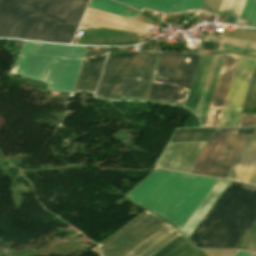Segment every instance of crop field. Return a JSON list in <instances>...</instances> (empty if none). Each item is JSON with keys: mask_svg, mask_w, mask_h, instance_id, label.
Returning a JSON list of instances; mask_svg holds the SVG:
<instances>
[{"mask_svg": "<svg viewBox=\"0 0 256 256\" xmlns=\"http://www.w3.org/2000/svg\"><path fill=\"white\" fill-rule=\"evenodd\" d=\"M249 184H253L256 185V170L254 171L253 175L251 176V178L248 181Z\"/></svg>", "mask_w": 256, "mask_h": 256, "instance_id": "eef30255", "label": "crop field"}, {"mask_svg": "<svg viewBox=\"0 0 256 256\" xmlns=\"http://www.w3.org/2000/svg\"><path fill=\"white\" fill-rule=\"evenodd\" d=\"M256 125V114H241L237 127Z\"/></svg>", "mask_w": 256, "mask_h": 256, "instance_id": "4177f3b9", "label": "crop field"}, {"mask_svg": "<svg viewBox=\"0 0 256 256\" xmlns=\"http://www.w3.org/2000/svg\"><path fill=\"white\" fill-rule=\"evenodd\" d=\"M166 224L168 223L145 210L99 246L104 256H124Z\"/></svg>", "mask_w": 256, "mask_h": 256, "instance_id": "e52e79f7", "label": "crop field"}, {"mask_svg": "<svg viewBox=\"0 0 256 256\" xmlns=\"http://www.w3.org/2000/svg\"><path fill=\"white\" fill-rule=\"evenodd\" d=\"M240 19L248 20L247 25L256 26V0H247Z\"/></svg>", "mask_w": 256, "mask_h": 256, "instance_id": "92a150f3", "label": "crop field"}, {"mask_svg": "<svg viewBox=\"0 0 256 256\" xmlns=\"http://www.w3.org/2000/svg\"><path fill=\"white\" fill-rule=\"evenodd\" d=\"M230 182L218 180L208 195L204 198L195 212L191 215L188 221L180 230L183 234H185L188 238L229 185Z\"/></svg>", "mask_w": 256, "mask_h": 256, "instance_id": "cbeb9de0", "label": "crop field"}, {"mask_svg": "<svg viewBox=\"0 0 256 256\" xmlns=\"http://www.w3.org/2000/svg\"><path fill=\"white\" fill-rule=\"evenodd\" d=\"M249 106H256V68L252 78L251 86L247 95L244 108L248 109Z\"/></svg>", "mask_w": 256, "mask_h": 256, "instance_id": "a9b5d70f", "label": "crop field"}, {"mask_svg": "<svg viewBox=\"0 0 256 256\" xmlns=\"http://www.w3.org/2000/svg\"><path fill=\"white\" fill-rule=\"evenodd\" d=\"M256 235V220L253 222V224L250 226V228L247 230V232L244 234V236L241 238V240L238 242V244L235 246L234 249H243L248 246V244L251 242V240Z\"/></svg>", "mask_w": 256, "mask_h": 256, "instance_id": "00972430", "label": "crop field"}, {"mask_svg": "<svg viewBox=\"0 0 256 256\" xmlns=\"http://www.w3.org/2000/svg\"><path fill=\"white\" fill-rule=\"evenodd\" d=\"M108 48L87 51L74 91H95Z\"/></svg>", "mask_w": 256, "mask_h": 256, "instance_id": "d1516ede", "label": "crop field"}, {"mask_svg": "<svg viewBox=\"0 0 256 256\" xmlns=\"http://www.w3.org/2000/svg\"><path fill=\"white\" fill-rule=\"evenodd\" d=\"M254 129H216L190 173L225 178Z\"/></svg>", "mask_w": 256, "mask_h": 256, "instance_id": "dd49c442", "label": "crop field"}, {"mask_svg": "<svg viewBox=\"0 0 256 256\" xmlns=\"http://www.w3.org/2000/svg\"><path fill=\"white\" fill-rule=\"evenodd\" d=\"M219 43H212V42H204L199 44V48H205V49H215L217 50Z\"/></svg>", "mask_w": 256, "mask_h": 256, "instance_id": "730fd06b", "label": "crop field"}, {"mask_svg": "<svg viewBox=\"0 0 256 256\" xmlns=\"http://www.w3.org/2000/svg\"><path fill=\"white\" fill-rule=\"evenodd\" d=\"M179 235L181 234L168 224L126 256H153Z\"/></svg>", "mask_w": 256, "mask_h": 256, "instance_id": "5142ce71", "label": "crop field"}, {"mask_svg": "<svg viewBox=\"0 0 256 256\" xmlns=\"http://www.w3.org/2000/svg\"><path fill=\"white\" fill-rule=\"evenodd\" d=\"M206 142L169 143L157 168L189 173Z\"/></svg>", "mask_w": 256, "mask_h": 256, "instance_id": "3316defc", "label": "crop field"}, {"mask_svg": "<svg viewBox=\"0 0 256 256\" xmlns=\"http://www.w3.org/2000/svg\"><path fill=\"white\" fill-rule=\"evenodd\" d=\"M256 168V129L235 161L226 178L247 183Z\"/></svg>", "mask_w": 256, "mask_h": 256, "instance_id": "22f410ed", "label": "crop field"}, {"mask_svg": "<svg viewBox=\"0 0 256 256\" xmlns=\"http://www.w3.org/2000/svg\"><path fill=\"white\" fill-rule=\"evenodd\" d=\"M85 47L25 42L9 74L50 83L49 89L72 92Z\"/></svg>", "mask_w": 256, "mask_h": 256, "instance_id": "f4fd0767", "label": "crop field"}, {"mask_svg": "<svg viewBox=\"0 0 256 256\" xmlns=\"http://www.w3.org/2000/svg\"><path fill=\"white\" fill-rule=\"evenodd\" d=\"M256 59L239 57L218 126H235L239 117Z\"/></svg>", "mask_w": 256, "mask_h": 256, "instance_id": "5a996713", "label": "crop field"}, {"mask_svg": "<svg viewBox=\"0 0 256 256\" xmlns=\"http://www.w3.org/2000/svg\"><path fill=\"white\" fill-rule=\"evenodd\" d=\"M89 0H0V37L70 43Z\"/></svg>", "mask_w": 256, "mask_h": 256, "instance_id": "ac0d7876", "label": "crop field"}, {"mask_svg": "<svg viewBox=\"0 0 256 256\" xmlns=\"http://www.w3.org/2000/svg\"><path fill=\"white\" fill-rule=\"evenodd\" d=\"M154 256H202L181 235Z\"/></svg>", "mask_w": 256, "mask_h": 256, "instance_id": "d9b57169", "label": "crop field"}, {"mask_svg": "<svg viewBox=\"0 0 256 256\" xmlns=\"http://www.w3.org/2000/svg\"><path fill=\"white\" fill-rule=\"evenodd\" d=\"M224 56L225 55L220 56L219 58L218 57H213L212 58L210 56L207 57V56H201L200 55L198 63H197V67H196V70H195V73H194V76H193V79H192V83H191V86H190V89H189V92H188V95H187V99H186V103H185L184 108L190 109L191 105H192V102H193V98H194L196 89H197V86H198V82H199L201 73H202V70H203V67H204V63H205V60H206V57H207L205 67H204V70H203V73H202V76H201V79H200V83H199V86H198V89H197V92H196V95H195V98H194V102H193V105H192V108H191L193 113H195V109H196V106H197V103H198V99H199L200 92H201V89H202V86H203V82H204V79H205V76H206L211 58H212V61H211V64H210V67H209V70H208V73H207V76H206V79H205V82H204V86H203V89H202V92H201L199 103H198V106H197V109H196V113H195V115L198 118H200L201 111H202V108H203V105H204V101H205V98H206V95H207V91H208L210 81H211V78H212V75H213V71H214V68H215V65H216V61H217V58H218L217 65H216V68H215V71H214V75H213V78H212V81H211V85H210L208 95H207V98H206V101H205V105H204V108H203V111H202V115H201V118H200L203 125H204V122H205V118H206V115H207V112H208V108H209V105H210V102H211V99H212L214 89H215V86H216V82H217V79H218V76H219V72H220V69H221V66H222V63H223Z\"/></svg>", "mask_w": 256, "mask_h": 256, "instance_id": "d8731c3e", "label": "crop field"}, {"mask_svg": "<svg viewBox=\"0 0 256 256\" xmlns=\"http://www.w3.org/2000/svg\"><path fill=\"white\" fill-rule=\"evenodd\" d=\"M89 7L133 19H135L139 14L137 11L126 8L109 0H92Z\"/></svg>", "mask_w": 256, "mask_h": 256, "instance_id": "4a817a6b", "label": "crop field"}, {"mask_svg": "<svg viewBox=\"0 0 256 256\" xmlns=\"http://www.w3.org/2000/svg\"><path fill=\"white\" fill-rule=\"evenodd\" d=\"M129 6L142 9L143 6L158 11L170 12L175 0H117Z\"/></svg>", "mask_w": 256, "mask_h": 256, "instance_id": "bc2a9ffb", "label": "crop field"}, {"mask_svg": "<svg viewBox=\"0 0 256 256\" xmlns=\"http://www.w3.org/2000/svg\"><path fill=\"white\" fill-rule=\"evenodd\" d=\"M229 0H223L219 10L225 11ZM246 0H230L226 11H230L225 23L234 24L239 19L244 8Z\"/></svg>", "mask_w": 256, "mask_h": 256, "instance_id": "214f88e0", "label": "crop field"}, {"mask_svg": "<svg viewBox=\"0 0 256 256\" xmlns=\"http://www.w3.org/2000/svg\"><path fill=\"white\" fill-rule=\"evenodd\" d=\"M160 53V52H159ZM199 55L190 53L109 54L96 96L143 97L155 57H160L147 98L184 103Z\"/></svg>", "mask_w": 256, "mask_h": 256, "instance_id": "8a807250", "label": "crop field"}, {"mask_svg": "<svg viewBox=\"0 0 256 256\" xmlns=\"http://www.w3.org/2000/svg\"><path fill=\"white\" fill-rule=\"evenodd\" d=\"M256 218V187L231 182L189 238L198 248L233 249Z\"/></svg>", "mask_w": 256, "mask_h": 256, "instance_id": "412701ff", "label": "crop field"}, {"mask_svg": "<svg viewBox=\"0 0 256 256\" xmlns=\"http://www.w3.org/2000/svg\"><path fill=\"white\" fill-rule=\"evenodd\" d=\"M239 56L226 54L204 126H217Z\"/></svg>", "mask_w": 256, "mask_h": 256, "instance_id": "28ad6ade", "label": "crop field"}, {"mask_svg": "<svg viewBox=\"0 0 256 256\" xmlns=\"http://www.w3.org/2000/svg\"><path fill=\"white\" fill-rule=\"evenodd\" d=\"M203 0H176L171 12L197 9L201 7Z\"/></svg>", "mask_w": 256, "mask_h": 256, "instance_id": "dafd665d", "label": "crop field"}, {"mask_svg": "<svg viewBox=\"0 0 256 256\" xmlns=\"http://www.w3.org/2000/svg\"><path fill=\"white\" fill-rule=\"evenodd\" d=\"M251 253H247V252H244V251H239L235 256H250Z\"/></svg>", "mask_w": 256, "mask_h": 256, "instance_id": "ae1a2a85", "label": "crop field"}, {"mask_svg": "<svg viewBox=\"0 0 256 256\" xmlns=\"http://www.w3.org/2000/svg\"><path fill=\"white\" fill-rule=\"evenodd\" d=\"M214 131L208 128L177 130L171 142L208 141Z\"/></svg>", "mask_w": 256, "mask_h": 256, "instance_id": "733c2abd", "label": "crop field"}, {"mask_svg": "<svg viewBox=\"0 0 256 256\" xmlns=\"http://www.w3.org/2000/svg\"><path fill=\"white\" fill-rule=\"evenodd\" d=\"M252 31L256 32L255 30H252Z\"/></svg>", "mask_w": 256, "mask_h": 256, "instance_id": "d3111659", "label": "crop field"}, {"mask_svg": "<svg viewBox=\"0 0 256 256\" xmlns=\"http://www.w3.org/2000/svg\"><path fill=\"white\" fill-rule=\"evenodd\" d=\"M215 182L214 179L155 171L127 197L174 223L180 230Z\"/></svg>", "mask_w": 256, "mask_h": 256, "instance_id": "34b2d1b8", "label": "crop field"}]
</instances>
